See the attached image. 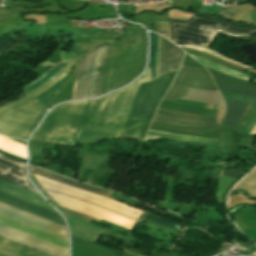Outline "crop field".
Here are the masks:
<instances>
[{"label": "crop field", "mask_w": 256, "mask_h": 256, "mask_svg": "<svg viewBox=\"0 0 256 256\" xmlns=\"http://www.w3.org/2000/svg\"><path fill=\"white\" fill-rule=\"evenodd\" d=\"M176 73L152 82L149 66L133 84L107 96L89 101L64 103L53 109L33 135V140L73 145L91 143L107 137L144 138L162 97Z\"/></svg>", "instance_id": "obj_1"}, {"label": "crop field", "mask_w": 256, "mask_h": 256, "mask_svg": "<svg viewBox=\"0 0 256 256\" xmlns=\"http://www.w3.org/2000/svg\"><path fill=\"white\" fill-rule=\"evenodd\" d=\"M128 39L121 38L114 43L105 62L102 75L100 95L119 88L132 81L139 75L146 59L147 38L146 32L132 27L127 28Z\"/></svg>", "instance_id": "obj_2"}, {"label": "crop field", "mask_w": 256, "mask_h": 256, "mask_svg": "<svg viewBox=\"0 0 256 256\" xmlns=\"http://www.w3.org/2000/svg\"><path fill=\"white\" fill-rule=\"evenodd\" d=\"M227 30L236 31L239 33H246L256 31V29L246 28V27H237L230 23L205 18L203 16L194 15L191 19L186 22H170V29L172 32V42L177 45H186V44H201V43H212L218 34L229 36V37H247L255 34L256 32L239 34L236 32H231ZM205 26H213L214 27H204ZM202 26V27H201ZM205 35L208 37H205Z\"/></svg>", "instance_id": "obj_3"}, {"label": "crop field", "mask_w": 256, "mask_h": 256, "mask_svg": "<svg viewBox=\"0 0 256 256\" xmlns=\"http://www.w3.org/2000/svg\"><path fill=\"white\" fill-rule=\"evenodd\" d=\"M111 46L98 47L79 62L72 99L99 95L102 70Z\"/></svg>", "instance_id": "obj_4"}, {"label": "crop field", "mask_w": 256, "mask_h": 256, "mask_svg": "<svg viewBox=\"0 0 256 256\" xmlns=\"http://www.w3.org/2000/svg\"><path fill=\"white\" fill-rule=\"evenodd\" d=\"M46 111L29 102L0 111V134L26 139Z\"/></svg>", "instance_id": "obj_5"}, {"label": "crop field", "mask_w": 256, "mask_h": 256, "mask_svg": "<svg viewBox=\"0 0 256 256\" xmlns=\"http://www.w3.org/2000/svg\"><path fill=\"white\" fill-rule=\"evenodd\" d=\"M29 171H30V172H33V173H36V174H39V175H42V176H45V177H48V178H50V179H53V180L62 182V183H65V184H68V185H71V186H74V187H77V188L86 190V191H88V192H91V193H94V194H97V195L106 197V198H111V197H109L110 194H111V192H108V191H105V190H101V189H98V188H95V187H92V186H89V185H86V184H83V183H79V182H76V181H73V180H70V179H67V178H64V177H61V176L52 174V173H48V172H45V171H42V170H39V169L30 167V166H29ZM30 172H29V176H30L31 180L34 182V184H35V185L38 187V189L46 196V198H47L53 205H55L62 213L67 214V215H70V216H73V217H76V218H78V219H81V220H84V221H87V222L90 221V219H87V218H84V217H81V216H78V215H75V214H72V213H69V212L64 211V210L51 198V196L41 187V185L36 181L37 179H35L34 174H33V173H30ZM38 181H41V180H38ZM41 182H44V183H47V184H49V185H52V186L61 188V189H63V190H66V191L75 193V194H77V195H80V196L89 198V197H87V196H84V195L78 194V193H76V192H73V191L64 189V188H62V187L53 185V184H51V183H48V182H45V181H41ZM89 199L94 200V201H97V202H100V201L95 200V199H92V198H89ZM111 199H114V198H111ZM100 203H103V202H100ZM103 204L108 205V206H111V205L106 204V203H103ZM111 207H114V206H111ZM114 208H117V207H114ZM117 209L122 210V211H125V210L120 209V208H117ZM125 212L130 213V214H132V215H135V216L139 217V218L129 227V229H131V230H133V229L141 222L142 219L147 220V221H150V222H154V223H157V224L166 226V227H170V228L176 229L175 226H174V224L169 223V222H166V221H164V220H161V219H159V217L154 216V215H152V214H150V213L144 212L141 216H139V215H136V214L131 213V212H128V211H125Z\"/></svg>", "instance_id": "obj_6"}, {"label": "crop field", "mask_w": 256, "mask_h": 256, "mask_svg": "<svg viewBox=\"0 0 256 256\" xmlns=\"http://www.w3.org/2000/svg\"><path fill=\"white\" fill-rule=\"evenodd\" d=\"M188 88L217 91L206 70L182 66L164 99H179L186 95Z\"/></svg>", "instance_id": "obj_7"}, {"label": "crop field", "mask_w": 256, "mask_h": 256, "mask_svg": "<svg viewBox=\"0 0 256 256\" xmlns=\"http://www.w3.org/2000/svg\"><path fill=\"white\" fill-rule=\"evenodd\" d=\"M0 212H2V213H4V214H7V215H10V216H13V217H15V218L21 219V220H23V221L29 222V223H31V224L37 225V226H39V227L45 228V229H47V230L53 231V232H55V233H58V234H61V235L67 237V230H66V228H64L65 226L62 227V226H59V225H57V224L51 223L52 221H51V222L46 221V220H44V219H41V218L36 217V216H34V215L28 214V213H26V212H23V211H21V210H18V209H16V208H13V207L8 206V205L3 204V203H0ZM2 213H0V215L5 216V217H7V218H10V219H12V220H15V221H17V222L23 223V224H25V225H28V226H30V227H33V228L38 229V230H41V231H43V232H46V233H48V234H51V235H53V236L59 237V238L64 239V240L67 241V238H66V237H63V236H61V235H58V234H55V233H53V232L47 231V230H45V229L39 228V227H37V226L31 225V224H29V223L23 222V221H21V220L12 218V217L7 216V215H4V214H2Z\"/></svg>", "instance_id": "obj_8"}, {"label": "crop field", "mask_w": 256, "mask_h": 256, "mask_svg": "<svg viewBox=\"0 0 256 256\" xmlns=\"http://www.w3.org/2000/svg\"><path fill=\"white\" fill-rule=\"evenodd\" d=\"M0 236L6 237L51 256H68V250L0 225Z\"/></svg>", "instance_id": "obj_9"}, {"label": "crop field", "mask_w": 256, "mask_h": 256, "mask_svg": "<svg viewBox=\"0 0 256 256\" xmlns=\"http://www.w3.org/2000/svg\"><path fill=\"white\" fill-rule=\"evenodd\" d=\"M212 75L218 89L256 98V86L249 84L248 81L241 80L216 70L206 67Z\"/></svg>", "instance_id": "obj_10"}, {"label": "crop field", "mask_w": 256, "mask_h": 256, "mask_svg": "<svg viewBox=\"0 0 256 256\" xmlns=\"http://www.w3.org/2000/svg\"><path fill=\"white\" fill-rule=\"evenodd\" d=\"M24 169V163L0 155V178L35 191L29 183Z\"/></svg>", "instance_id": "obj_11"}, {"label": "crop field", "mask_w": 256, "mask_h": 256, "mask_svg": "<svg viewBox=\"0 0 256 256\" xmlns=\"http://www.w3.org/2000/svg\"><path fill=\"white\" fill-rule=\"evenodd\" d=\"M183 54L179 47L162 38L159 75L178 70Z\"/></svg>", "instance_id": "obj_12"}, {"label": "crop field", "mask_w": 256, "mask_h": 256, "mask_svg": "<svg viewBox=\"0 0 256 256\" xmlns=\"http://www.w3.org/2000/svg\"><path fill=\"white\" fill-rule=\"evenodd\" d=\"M0 200L5 201L7 203H10L12 205L18 206L20 208H23L25 210H28L30 212L36 213L38 215H41L43 217L49 218L51 220H54L56 222L64 224L61 216L51 210H48L46 208H43L41 206L35 205L33 203L27 202L25 200H22L20 198L14 197L12 195H9L7 193L0 191ZM65 225V224H64Z\"/></svg>", "instance_id": "obj_13"}, {"label": "crop field", "mask_w": 256, "mask_h": 256, "mask_svg": "<svg viewBox=\"0 0 256 256\" xmlns=\"http://www.w3.org/2000/svg\"><path fill=\"white\" fill-rule=\"evenodd\" d=\"M0 190L33 202L35 204L41 205L48 209L54 210L42 199V197L38 193L5 181L3 179H0Z\"/></svg>", "instance_id": "obj_14"}, {"label": "crop field", "mask_w": 256, "mask_h": 256, "mask_svg": "<svg viewBox=\"0 0 256 256\" xmlns=\"http://www.w3.org/2000/svg\"><path fill=\"white\" fill-rule=\"evenodd\" d=\"M0 254L4 256H45L0 238Z\"/></svg>", "instance_id": "obj_15"}, {"label": "crop field", "mask_w": 256, "mask_h": 256, "mask_svg": "<svg viewBox=\"0 0 256 256\" xmlns=\"http://www.w3.org/2000/svg\"><path fill=\"white\" fill-rule=\"evenodd\" d=\"M247 106V103L232 100L225 116L222 121L223 124L235 129L239 120L241 119L243 112Z\"/></svg>", "instance_id": "obj_16"}, {"label": "crop field", "mask_w": 256, "mask_h": 256, "mask_svg": "<svg viewBox=\"0 0 256 256\" xmlns=\"http://www.w3.org/2000/svg\"><path fill=\"white\" fill-rule=\"evenodd\" d=\"M153 122L216 130V125H213V124L181 120V119L163 117V116H158V115L155 116Z\"/></svg>", "instance_id": "obj_17"}, {"label": "crop field", "mask_w": 256, "mask_h": 256, "mask_svg": "<svg viewBox=\"0 0 256 256\" xmlns=\"http://www.w3.org/2000/svg\"><path fill=\"white\" fill-rule=\"evenodd\" d=\"M80 58H82V57H80ZM80 58H78V59H80ZM78 59L72 61V63L69 65V67H68L65 71L59 73L51 82H49V83H48L47 85H45L43 88L37 90L36 92H34V93H32V94H30V95H28V96H26V97L21 98V99L15 101V102H13V103H10V104H8V105L2 106V107H0V109L7 108V107H11V106H15V105H17V104H19V103H21V102H25V101H27V100H29V99H32V98H34V97H36V96H38V95L44 93V92H45L46 90H48L51 86H53L56 82H58L61 78H63V77L69 72V70L74 66V64L76 63V61H77ZM51 88H52V87H51Z\"/></svg>", "instance_id": "obj_18"}, {"label": "crop field", "mask_w": 256, "mask_h": 256, "mask_svg": "<svg viewBox=\"0 0 256 256\" xmlns=\"http://www.w3.org/2000/svg\"><path fill=\"white\" fill-rule=\"evenodd\" d=\"M157 114L158 115H164V116H170V117H176V118H182V119H188V120H194V121L216 124V118L206 117V116H201V115H195V114H190V113H185V112H179V111H173V110H167V109L159 108Z\"/></svg>", "instance_id": "obj_19"}, {"label": "crop field", "mask_w": 256, "mask_h": 256, "mask_svg": "<svg viewBox=\"0 0 256 256\" xmlns=\"http://www.w3.org/2000/svg\"><path fill=\"white\" fill-rule=\"evenodd\" d=\"M64 85V83L62 82H58L52 89L48 90L47 92H45L44 94L40 95L39 97L35 98V99H32V100H29V101H32V102H35V103H38L40 105H43V106H48L53 94L60 90L61 87Z\"/></svg>", "instance_id": "obj_20"}, {"label": "crop field", "mask_w": 256, "mask_h": 256, "mask_svg": "<svg viewBox=\"0 0 256 256\" xmlns=\"http://www.w3.org/2000/svg\"><path fill=\"white\" fill-rule=\"evenodd\" d=\"M150 37H151L150 67H151V77H152V80H154L155 79V56H156L158 35L154 33H150Z\"/></svg>", "instance_id": "obj_21"}, {"label": "crop field", "mask_w": 256, "mask_h": 256, "mask_svg": "<svg viewBox=\"0 0 256 256\" xmlns=\"http://www.w3.org/2000/svg\"><path fill=\"white\" fill-rule=\"evenodd\" d=\"M220 134H221V148H229V128L223 125H220Z\"/></svg>", "instance_id": "obj_22"}, {"label": "crop field", "mask_w": 256, "mask_h": 256, "mask_svg": "<svg viewBox=\"0 0 256 256\" xmlns=\"http://www.w3.org/2000/svg\"><path fill=\"white\" fill-rule=\"evenodd\" d=\"M238 7H221L219 8V10L217 11L216 15L220 16V17H224V18H228L231 19V17L233 16V14L237 11Z\"/></svg>", "instance_id": "obj_23"}, {"label": "crop field", "mask_w": 256, "mask_h": 256, "mask_svg": "<svg viewBox=\"0 0 256 256\" xmlns=\"http://www.w3.org/2000/svg\"><path fill=\"white\" fill-rule=\"evenodd\" d=\"M148 134H150V135L164 136V137H170V138H175V139H182V140H190V141H197V142H203V143L218 144V142H215V141H208V140H202V139H195V138H188V137L173 136V135L161 134V133L150 132V131H148Z\"/></svg>", "instance_id": "obj_24"}, {"label": "crop field", "mask_w": 256, "mask_h": 256, "mask_svg": "<svg viewBox=\"0 0 256 256\" xmlns=\"http://www.w3.org/2000/svg\"><path fill=\"white\" fill-rule=\"evenodd\" d=\"M23 12V8L10 9V10H0V21L6 19L10 16L16 15Z\"/></svg>", "instance_id": "obj_25"}, {"label": "crop field", "mask_w": 256, "mask_h": 256, "mask_svg": "<svg viewBox=\"0 0 256 256\" xmlns=\"http://www.w3.org/2000/svg\"><path fill=\"white\" fill-rule=\"evenodd\" d=\"M182 48H183V47H182ZM183 49H184V50H187V51L196 52V53L202 54V55H204V56L210 57V58H212V59L218 60V61L223 62V63H225V64H227V65H229V66H232V67H234V68H237V69H239V70H241V71L244 70L243 68H240V67H238V66H235V65H232V64L227 63V62H225V61H222V60H220V59H218V58H216V57H214V56H211V55H209V54H206V53H204V52L195 51V50H191V49H187V48H183Z\"/></svg>", "instance_id": "obj_26"}, {"label": "crop field", "mask_w": 256, "mask_h": 256, "mask_svg": "<svg viewBox=\"0 0 256 256\" xmlns=\"http://www.w3.org/2000/svg\"><path fill=\"white\" fill-rule=\"evenodd\" d=\"M0 154L5 155V156L10 157V158H13V159H16V160H19V161L24 162V163H25V161H26V160L23 159V158H20V157H18V156L12 155V154L7 153V152L2 151V150H0Z\"/></svg>", "instance_id": "obj_27"}, {"label": "crop field", "mask_w": 256, "mask_h": 256, "mask_svg": "<svg viewBox=\"0 0 256 256\" xmlns=\"http://www.w3.org/2000/svg\"><path fill=\"white\" fill-rule=\"evenodd\" d=\"M155 125V124H154ZM162 126V125H161ZM168 127V126H167ZM174 128V127H171ZM176 129H180V128H176ZM181 130H186V131H192V132H200V133H211V134H217L216 132H212V131H201V130H189V129H181Z\"/></svg>", "instance_id": "obj_28"}, {"label": "crop field", "mask_w": 256, "mask_h": 256, "mask_svg": "<svg viewBox=\"0 0 256 256\" xmlns=\"http://www.w3.org/2000/svg\"><path fill=\"white\" fill-rule=\"evenodd\" d=\"M250 138L242 139V147H249Z\"/></svg>", "instance_id": "obj_29"}, {"label": "crop field", "mask_w": 256, "mask_h": 256, "mask_svg": "<svg viewBox=\"0 0 256 256\" xmlns=\"http://www.w3.org/2000/svg\"><path fill=\"white\" fill-rule=\"evenodd\" d=\"M256 123V115L251 123V125L249 126V128L247 129V131L245 132V134H249L250 130L252 129V127L254 126V124Z\"/></svg>", "instance_id": "obj_30"}, {"label": "crop field", "mask_w": 256, "mask_h": 256, "mask_svg": "<svg viewBox=\"0 0 256 256\" xmlns=\"http://www.w3.org/2000/svg\"><path fill=\"white\" fill-rule=\"evenodd\" d=\"M148 24H149L150 30L156 32V30H155V25H154V21H148Z\"/></svg>", "instance_id": "obj_31"}]
</instances>
